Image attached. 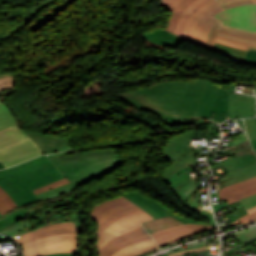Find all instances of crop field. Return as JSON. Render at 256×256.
<instances>
[{"instance_id":"120bbe31","label":"crop field","mask_w":256,"mask_h":256,"mask_svg":"<svg viewBox=\"0 0 256 256\" xmlns=\"http://www.w3.org/2000/svg\"><path fill=\"white\" fill-rule=\"evenodd\" d=\"M58 206H60V205H58L57 203H55V204H54V207L49 208L47 211H43L42 214H39V215H37V216L33 215V213H34L35 210H37V209L32 210V212H31V211H30V208H28V209H27V212H28L29 216H33V217H35V218H43V217L46 216V215H51L52 213H54V215H56V216L59 218V219H57V220H64V219H66V218H61L60 216H61L62 214L66 215V214L69 213V212H65V211H62V210H54V209H53V208L58 207ZM40 208H41V207H40Z\"/></svg>"},{"instance_id":"eef30255","label":"crop field","mask_w":256,"mask_h":256,"mask_svg":"<svg viewBox=\"0 0 256 256\" xmlns=\"http://www.w3.org/2000/svg\"><path fill=\"white\" fill-rule=\"evenodd\" d=\"M228 174L233 179L224 182L226 186L236 183V182H239V181H242V180H245V179H248V178H251V177H254V176H256V163L246 166L244 168L229 172Z\"/></svg>"},{"instance_id":"dafd665d","label":"crop field","mask_w":256,"mask_h":256,"mask_svg":"<svg viewBox=\"0 0 256 256\" xmlns=\"http://www.w3.org/2000/svg\"><path fill=\"white\" fill-rule=\"evenodd\" d=\"M186 223H195V224L204 225V223L202 222H197L181 216H170V217L160 218V219L152 220L150 222L143 223L142 225L146 228L149 234H151L165 228H169V227L180 225V224H186Z\"/></svg>"},{"instance_id":"d14b1444","label":"crop field","mask_w":256,"mask_h":256,"mask_svg":"<svg viewBox=\"0 0 256 256\" xmlns=\"http://www.w3.org/2000/svg\"><path fill=\"white\" fill-rule=\"evenodd\" d=\"M0 168H4V166H3L2 162H0Z\"/></svg>"},{"instance_id":"dd49c442","label":"crop field","mask_w":256,"mask_h":256,"mask_svg":"<svg viewBox=\"0 0 256 256\" xmlns=\"http://www.w3.org/2000/svg\"><path fill=\"white\" fill-rule=\"evenodd\" d=\"M236 86L229 89L220 88L214 108L213 120L221 123L228 118H239L256 115L255 97L233 94Z\"/></svg>"},{"instance_id":"dbb93151","label":"crop field","mask_w":256,"mask_h":256,"mask_svg":"<svg viewBox=\"0 0 256 256\" xmlns=\"http://www.w3.org/2000/svg\"><path fill=\"white\" fill-rule=\"evenodd\" d=\"M218 34H219V35H223V36H227V37H230V38H233V39H237V40H243V41L256 42L255 40H249V39L237 38V37H233V36H230V35H227V34H224V33H220V32H218Z\"/></svg>"},{"instance_id":"78b8030e","label":"crop field","mask_w":256,"mask_h":256,"mask_svg":"<svg viewBox=\"0 0 256 256\" xmlns=\"http://www.w3.org/2000/svg\"><path fill=\"white\" fill-rule=\"evenodd\" d=\"M250 142L252 144L253 149H255L256 148V139L255 140H251Z\"/></svg>"},{"instance_id":"0f1d7ab4","label":"crop field","mask_w":256,"mask_h":256,"mask_svg":"<svg viewBox=\"0 0 256 256\" xmlns=\"http://www.w3.org/2000/svg\"><path fill=\"white\" fill-rule=\"evenodd\" d=\"M238 124H239V126H240L242 129H244V125H243L242 120H238Z\"/></svg>"},{"instance_id":"d1516ede","label":"crop field","mask_w":256,"mask_h":256,"mask_svg":"<svg viewBox=\"0 0 256 256\" xmlns=\"http://www.w3.org/2000/svg\"><path fill=\"white\" fill-rule=\"evenodd\" d=\"M212 226H200L194 224H186L172 227L151 234L160 247L167 246L171 243L178 242L184 238L196 236L210 231Z\"/></svg>"},{"instance_id":"180be81f","label":"crop field","mask_w":256,"mask_h":256,"mask_svg":"<svg viewBox=\"0 0 256 256\" xmlns=\"http://www.w3.org/2000/svg\"><path fill=\"white\" fill-rule=\"evenodd\" d=\"M256 85V84H255Z\"/></svg>"},{"instance_id":"92a150f3","label":"crop field","mask_w":256,"mask_h":256,"mask_svg":"<svg viewBox=\"0 0 256 256\" xmlns=\"http://www.w3.org/2000/svg\"><path fill=\"white\" fill-rule=\"evenodd\" d=\"M34 140L37 146L44 152L49 153L70 145V138L54 137L50 135L37 134L24 131Z\"/></svg>"},{"instance_id":"34b2d1b8","label":"crop field","mask_w":256,"mask_h":256,"mask_svg":"<svg viewBox=\"0 0 256 256\" xmlns=\"http://www.w3.org/2000/svg\"><path fill=\"white\" fill-rule=\"evenodd\" d=\"M223 10L215 0H196L180 18L175 34L206 47L208 32L217 21L214 15Z\"/></svg>"},{"instance_id":"bc2a9ffb","label":"crop field","mask_w":256,"mask_h":256,"mask_svg":"<svg viewBox=\"0 0 256 256\" xmlns=\"http://www.w3.org/2000/svg\"><path fill=\"white\" fill-rule=\"evenodd\" d=\"M219 86L207 80L193 116L211 117Z\"/></svg>"},{"instance_id":"c5b07064","label":"crop field","mask_w":256,"mask_h":256,"mask_svg":"<svg viewBox=\"0 0 256 256\" xmlns=\"http://www.w3.org/2000/svg\"><path fill=\"white\" fill-rule=\"evenodd\" d=\"M1 216V215H0Z\"/></svg>"},{"instance_id":"cbeb9de0","label":"crop field","mask_w":256,"mask_h":256,"mask_svg":"<svg viewBox=\"0 0 256 256\" xmlns=\"http://www.w3.org/2000/svg\"><path fill=\"white\" fill-rule=\"evenodd\" d=\"M256 193V177L225 187L220 184L218 187L219 200L227 199L229 203L212 205L217 211L229 204Z\"/></svg>"},{"instance_id":"b80d0937","label":"crop field","mask_w":256,"mask_h":256,"mask_svg":"<svg viewBox=\"0 0 256 256\" xmlns=\"http://www.w3.org/2000/svg\"><path fill=\"white\" fill-rule=\"evenodd\" d=\"M66 183H69V181L65 178V179H63V180L57 181V182L52 183V184H49V185H47V186L40 187V188L34 190L33 192H34L35 194H37V193H40V192H43V191L50 190V189H52V188H54V187H57V186L66 184Z\"/></svg>"},{"instance_id":"c035e120","label":"crop field","mask_w":256,"mask_h":256,"mask_svg":"<svg viewBox=\"0 0 256 256\" xmlns=\"http://www.w3.org/2000/svg\"><path fill=\"white\" fill-rule=\"evenodd\" d=\"M239 202L246 208V210L251 209L256 206V194L244 198Z\"/></svg>"},{"instance_id":"028f5c9d","label":"crop field","mask_w":256,"mask_h":256,"mask_svg":"<svg viewBox=\"0 0 256 256\" xmlns=\"http://www.w3.org/2000/svg\"><path fill=\"white\" fill-rule=\"evenodd\" d=\"M208 250L206 244H201L189 249H184L175 253H170V254H166V256H180V255H185V254H189V253H196V252H201V251H205Z\"/></svg>"},{"instance_id":"00972430","label":"crop field","mask_w":256,"mask_h":256,"mask_svg":"<svg viewBox=\"0 0 256 256\" xmlns=\"http://www.w3.org/2000/svg\"><path fill=\"white\" fill-rule=\"evenodd\" d=\"M144 37L152 43L172 47L184 40L183 38L175 36L163 29L154 30L145 34Z\"/></svg>"},{"instance_id":"c21b1889","label":"crop field","mask_w":256,"mask_h":256,"mask_svg":"<svg viewBox=\"0 0 256 256\" xmlns=\"http://www.w3.org/2000/svg\"><path fill=\"white\" fill-rule=\"evenodd\" d=\"M251 221H256V212H253L251 214H248L244 217H242L241 219L225 226V227H229V226H234V225H239V224H243V223H246V222H251ZM224 228V227H223Z\"/></svg>"},{"instance_id":"1f2cbd36","label":"crop field","mask_w":256,"mask_h":256,"mask_svg":"<svg viewBox=\"0 0 256 256\" xmlns=\"http://www.w3.org/2000/svg\"><path fill=\"white\" fill-rule=\"evenodd\" d=\"M246 58L249 59H255L256 60V51L254 50H248Z\"/></svg>"},{"instance_id":"1d83c4d3","label":"crop field","mask_w":256,"mask_h":256,"mask_svg":"<svg viewBox=\"0 0 256 256\" xmlns=\"http://www.w3.org/2000/svg\"><path fill=\"white\" fill-rule=\"evenodd\" d=\"M215 41L223 43V44L231 45V46H234V47H238V48H241V49H245V50H247L249 46H256L255 43L237 41V40H233V39L226 38V37L219 36V35L216 36Z\"/></svg>"},{"instance_id":"733c2abd","label":"crop field","mask_w":256,"mask_h":256,"mask_svg":"<svg viewBox=\"0 0 256 256\" xmlns=\"http://www.w3.org/2000/svg\"><path fill=\"white\" fill-rule=\"evenodd\" d=\"M55 233H77L75 229V223H55L47 226L40 227L34 231L22 234L20 236L14 237L13 239L19 244H24L26 242L35 240L37 238L55 234Z\"/></svg>"},{"instance_id":"d32e631a","label":"crop field","mask_w":256,"mask_h":256,"mask_svg":"<svg viewBox=\"0 0 256 256\" xmlns=\"http://www.w3.org/2000/svg\"><path fill=\"white\" fill-rule=\"evenodd\" d=\"M217 126H211L207 129H195L196 137H205L207 140L210 137L218 135L219 127H217Z\"/></svg>"},{"instance_id":"d8731c3e","label":"crop field","mask_w":256,"mask_h":256,"mask_svg":"<svg viewBox=\"0 0 256 256\" xmlns=\"http://www.w3.org/2000/svg\"><path fill=\"white\" fill-rule=\"evenodd\" d=\"M138 211L142 210L121 195L95 205L91 211V218L97 222V236L114 220Z\"/></svg>"},{"instance_id":"ae633e8c","label":"crop field","mask_w":256,"mask_h":256,"mask_svg":"<svg viewBox=\"0 0 256 256\" xmlns=\"http://www.w3.org/2000/svg\"><path fill=\"white\" fill-rule=\"evenodd\" d=\"M255 210H256V207L253 208V209H251V210H248V213H251V212H253V211H255Z\"/></svg>"},{"instance_id":"d3111659","label":"crop field","mask_w":256,"mask_h":256,"mask_svg":"<svg viewBox=\"0 0 256 256\" xmlns=\"http://www.w3.org/2000/svg\"><path fill=\"white\" fill-rule=\"evenodd\" d=\"M17 124L10 111L0 103V130Z\"/></svg>"},{"instance_id":"5142ce71","label":"crop field","mask_w":256,"mask_h":256,"mask_svg":"<svg viewBox=\"0 0 256 256\" xmlns=\"http://www.w3.org/2000/svg\"><path fill=\"white\" fill-rule=\"evenodd\" d=\"M31 225L33 224L24 206L17 207L0 217V231L11 237L15 236L19 230H23Z\"/></svg>"},{"instance_id":"e1f06a70","label":"crop field","mask_w":256,"mask_h":256,"mask_svg":"<svg viewBox=\"0 0 256 256\" xmlns=\"http://www.w3.org/2000/svg\"><path fill=\"white\" fill-rule=\"evenodd\" d=\"M255 119L256 118L246 119L245 120L247 134H248L250 140L256 138V123H255Z\"/></svg>"},{"instance_id":"89e229c0","label":"crop field","mask_w":256,"mask_h":256,"mask_svg":"<svg viewBox=\"0 0 256 256\" xmlns=\"http://www.w3.org/2000/svg\"><path fill=\"white\" fill-rule=\"evenodd\" d=\"M254 241H256V239H254V240H252V241H250V242H247V243H245V244H243V245H241V246H238V247H235V248H233V249H230V250H228V251H226V252H227V254L229 255V254H231V253H233V252L239 250L238 248L244 247V246H246V245H248V244H250V243H252V242H254Z\"/></svg>"},{"instance_id":"0bd39190","label":"crop field","mask_w":256,"mask_h":256,"mask_svg":"<svg viewBox=\"0 0 256 256\" xmlns=\"http://www.w3.org/2000/svg\"><path fill=\"white\" fill-rule=\"evenodd\" d=\"M187 208L201 214L203 217H205L207 220L211 217L212 213L210 214L209 212L205 211V210H200L199 208V204L197 199L195 201H193L190 205L187 206Z\"/></svg>"},{"instance_id":"425ffa30","label":"crop field","mask_w":256,"mask_h":256,"mask_svg":"<svg viewBox=\"0 0 256 256\" xmlns=\"http://www.w3.org/2000/svg\"><path fill=\"white\" fill-rule=\"evenodd\" d=\"M156 249H159V247L156 246V247H153V248H149V249H145V250H141V251H136V252H134V253H132V254H130L128 256H141L143 254H146L148 252L154 251Z\"/></svg>"},{"instance_id":"0765c3eb","label":"crop field","mask_w":256,"mask_h":256,"mask_svg":"<svg viewBox=\"0 0 256 256\" xmlns=\"http://www.w3.org/2000/svg\"><path fill=\"white\" fill-rule=\"evenodd\" d=\"M244 62L251 63V64H256V61L249 60V59H244Z\"/></svg>"},{"instance_id":"db79e9e6","label":"crop field","mask_w":256,"mask_h":256,"mask_svg":"<svg viewBox=\"0 0 256 256\" xmlns=\"http://www.w3.org/2000/svg\"><path fill=\"white\" fill-rule=\"evenodd\" d=\"M9 240H10V239H8V238H6V237L0 235V242H2V241H9Z\"/></svg>"},{"instance_id":"ae1a2a85","label":"crop field","mask_w":256,"mask_h":256,"mask_svg":"<svg viewBox=\"0 0 256 256\" xmlns=\"http://www.w3.org/2000/svg\"><path fill=\"white\" fill-rule=\"evenodd\" d=\"M150 246H156V243L153 241V239L130 245L126 248L117 251L113 256H126L127 254L132 253L136 250L149 248Z\"/></svg>"},{"instance_id":"730fd06b","label":"crop field","mask_w":256,"mask_h":256,"mask_svg":"<svg viewBox=\"0 0 256 256\" xmlns=\"http://www.w3.org/2000/svg\"><path fill=\"white\" fill-rule=\"evenodd\" d=\"M222 23H223V20L218 19V21L212 27V29L208 35V39H207V48L208 49L215 51L214 40H215V36L219 29L237 33V34H241V35H245V36L256 37V33H254V32H247V31H243V30H239V29L229 28V27L222 25Z\"/></svg>"},{"instance_id":"25e5ab78","label":"crop field","mask_w":256,"mask_h":256,"mask_svg":"<svg viewBox=\"0 0 256 256\" xmlns=\"http://www.w3.org/2000/svg\"><path fill=\"white\" fill-rule=\"evenodd\" d=\"M249 3H256L255 0H246V1H239V2H233L227 5H223L224 8H230L236 5H241V4H249Z\"/></svg>"},{"instance_id":"28ad6ade","label":"crop field","mask_w":256,"mask_h":256,"mask_svg":"<svg viewBox=\"0 0 256 256\" xmlns=\"http://www.w3.org/2000/svg\"><path fill=\"white\" fill-rule=\"evenodd\" d=\"M216 17L225 20L224 25L256 32V5L227 9Z\"/></svg>"},{"instance_id":"bd1437ed","label":"crop field","mask_w":256,"mask_h":256,"mask_svg":"<svg viewBox=\"0 0 256 256\" xmlns=\"http://www.w3.org/2000/svg\"><path fill=\"white\" fill-rule=\"evenodd\" d=\"M17 207L10 198L9 194L0 188V213L3 215L12 208Z\"/></svg>"},{"instance_id":"a9b5d70f","label":"crop field","mask_w":256,"mask_h":256,"mask_svg":"<svg viewBox=\"0 0 256 256\" xmlns=\"http://www.w3.org/2000/svg\"><path fill=\"white\" fill-rule=\"evenodd\" d=\"M255 162H256V155L254 152H252L250 154H245L240 157L211 166V169L214 170V169L220 168L224 173H226Z\"/></svg>"},{"instance_id":"fb207236","label":"crop field","mask_w":256,"mask_h":256,"mask_svg":"<svg viewBox=\"0 0 256 256\" xmlns=\"http://www.w3.org/2000/svg\"><path fill=\"white\" fill-rule=\"evenodd\" d=\"M61 157V156H60Z\"/></svg>"},{"instance_id":"0fb4a251","label":"crop field","mask_w":256,"mask_h":256,"mask_svg":"<svg viewBox=\"0 0 256 256\" xmlns=\"http://www.w3.org/2000/svg\"><path fill=\"white\" fill-rule=\"evenodd\" d=\"M45 256H74V254L71 253H55V254H49Z\"/></svg>"},{"instance_id":"750c4746","label":"crop field","mask_w":256,"mask_h":256,"mask_svg":"<svg viewBox=\"0 0 256 256\" xmlns=\"http://www.w3.org/2000/svg\"><path fill=\"white\" fill-rule=\"evenodd\" d=\"M168 126H178V125H205L208 124L209 122H204V119H195V120H189V119H178V118H171V117H166V119L163 121Z\"/></svg>"},{"instance_id":"e52e79f7","label":"crop field","mask_w":256,"mask_h":256,"mask_svg":"<svg viewBox=\"0 0 256 256\" xmlns=\"http://www.w3.org/2000/svg\"><path fill=\"white\" fill-rule=\"evenodd\" d=\"M25 256H42L54 252H71L80 255L78 234H56L20 246Z\"/></svg>"},{"instance_id":"1d79db26","label":"crop field","mask_w":256,"mask_h":256,"mask_svg":"<svg viewBox=\"0 0 256 256\" xmlns=\"http://www.w3.org/2000/svg\"><path fill=\"white\" fill-rule=\"evenodd\" d=\"M10 76H14V74H12V73H1L0 74V78L10 77Z\"/></svg>"},{"instance_id":"3316defc","label":"crop field","mask_w":256,"mask_h":256,"mask_svg":"<svg viewBox=\"0 0 256 256\" xmlns=\"http://www.w3.org/2000/svg\"><path fill=\"white\" fill-rule=\"evenodd\" d=\"M153 219L146 212H138L125 217H122L116 221H114L109 227H107L98 237L97 242L95 244V251L99 252L101 247L105 245V243L114 238L115 236L122 234L124 232L130 231L132 229L138 228L141 226V222L146 220ZM122 230V232H120Z\"/></svg>"},{"instance_id":"d9b57169","label":"crop field","mask_w":256,"mask_h":256,"mask_svg":"<svg viewBox=\"0 0 256 256\" xmlns=\"http://www.w3.org/2000/svg\"><path fill=\"white\" fill-rule=\"evenodd\" d=\"M147 239H151V236L146 233V231L140 227L133 231L122 234L111 241L107 242V244L102 247L98 256H111L117 250L126 247L130 244L141 242Z\"/></svg>"},{"instance_id":"7312dd0a","label":"crop field","mask_w":256,"mask_h":256,"mask_svg":"<svg viewBox=\"0 0 256 256\" xmlns=\"http://www.w3.org/2000/svg\"><path fill=\"white\" fill-rule=\"evenodd\" d=\"M256 83V82H255Z\"/></svg>"},{"instance_id":"9d1cf04e","label":"crop field","mask_w":256,"mask_h":256,"mask_svg":"<svg viewBox=\"0 0 256 256\" xmlns=\"http://www.w3.org/2000/svg\"><path fill=\"white\" fill-rule=\"evenodd\" d=\"M233 1H238V0H219L221 5L227 4V3H230V2H233Z\"/></svg>"},{"instance_id":"ac0d7876","label":"crop field","mask_w":256,"mask_h":256,"mask_svg":"<svg viewBox=\"0 0 256 256\" xmlns=\"http://www.w3.org/2000/svg\"><path fill=\"white\" fill-rule=\"evenodd\" d=\"M63 178L65 176L43 155L0 171V187L21 206L38 201L32 190Z\"/></svg>"},{"instance_id":"c3a83c6f","label":"crop field","mask_w":256,"mask_h":256,"mask_svg":"<svg viewBox=\"0 0 256 256\" xmlns=\"http://www.w3.org/2000/svg\"><path fill=\"white\" fill-rule=\"evenodd\" d=\"M165 256V255H164Z\"/></svg>"},{"instance_id":"5a996713","label":"crop field","mask_w":256,"mask_h":256,"mask_svg":"<svg viewBox=\"0 0 256 256\" xmlns=\"http://www.w3.org/2000/svg\"><path fill=\"white\" fill-rule=\"evenodd\" d=\"M63 154H66L67 156L52 159L54 164L60 169L62 173L99 159L119 158L116 152L112 149H103L89 152L71 150L58 154L48 155V157L51 158Z\"/></svg>"},{"instance_id":"214f88e0","label":"crop field","mask_w":256,"mask_h":256,"mask_svg":"<svg viewBox=\"0 0 256 256\" xmlns=\"http://www.w3.org/2000/svg\"><path fill=\"white\" fill-rule=\"evenodd\" d=\"M193 1L194 0H161L160 6L171 13L165 27L166 30L174 33L179 18Z\"/></svg>"},{"instance_id":"22f410ed","label":"crop field","mask_w":256,"mask_h":256,"mask_svg":"<svg viewBox=\"0 0 256 256\" xmlns=\"http://www.w3.org/2000/svg\"><path fill=\"white\" fill-rule=\"evenodd\" d=\"M42 153L43 152L35 145L32 139L29 138L0 150V161L5 164V167H9Z\"/></svg>"},{"instance_id":"73cf0c24","label":"crop field","mask_w":256,"mask_h":256,"mask_svg":"<svg viewBox=\"0 0 256 256\" xmlns=\"http://www.w3.org/2000/svg\"><path fill=\"white\" fill-rule=\"evenodd\" d=\"M73 216H74V221L76 223V229L78 230V233H80V234L83 233L80 219H79V213H75V214H73Z\"/></svg>"},{"instance_id":"5866460e","label":"crop field","mask_w":256,"mask_h":256,"mask_svg":"<svg viewBox=\"0 0 256 256\" xmlns=\"http://www.w3.org/2000/svg\"><path fill=\"white\" fill-rule=\"evenodd\" d=\"M232 237L237 240L238 244L241 245L249 240L256 238V229L236 234L233 235Z\"/></svg>"},{"instance_id":"4177f3b9","label":"crop field","mask_w":256,"mask_h":256,"mask_svg":"<svg viewBox=\"0 0 256 256\" xmlns=\"http://www.w3.org/2000/svg\"><path fill=\"white\" fill-rule=\"evenodd\" d=\"M26 138H28V136L19 128L18 125L2 130L0 131V149L8 147Z\"/></svg>"},{"instance_id":"7b73153f","label":"crop field","mask_w":256,"mask_h":256,"mask_svg":"<svg viewBox=\"0 0 256 256\" xmlns=\"http://www.w3.org/2000/svg\"><path fill=\"white\" fill-rule=\"evenodd\" d=\"M70 149H72V147H71V146L66 147V148H63V149H60V150H57V151H55V152L65 151V150H70ZM52 153H53V152H52Z\"/></svg>"},{"instance_id":"ade564c9","label":"crop field","mask_w":256,"mask_h":256,"mask_svg":"<svg viewBox=\"0 0 256 256\" xmlns=\"http://www.w3.org/2000/svg\"><path fill=\"white\" fill-rule=\"evenodd\" d=\"M254 151H255V153H256V149H255Z\"/></svg>"},{"instance_id":"c39391a2","label":"crop field","mask_w":256,"mask_h":256,"mask_svg":"<svg viewBox=\"0 0 256 256\" xmlns=\"http://www.w3.org/2000/svg\"><path fill=\"white\" fill-rule=\"evenodd\" d=\"M249 49H256V47H249Z\"/></svg>"},{"instance_id":"b54c1fbb","label":"crop field","mask_w":256,"mask_h":256,"mask_svg":"<svg viewBox=\"0 0 256 256\" xmlns=\"http://www.w3.org/2000/svg\"><path fill=\"white\" fill-rule=\"evenodd\" d=\"M14 85V78L0 79V91L10 89Z\"/></svg>"},{"instance_id":"d23c7cc5","label":"crop field","mask_w":256,"mask_h":256,"mask_svg":"<svg viewBox=\"0 0 256 256\" xmlns=\"http://www.w3.org/2000/svg\"><path fill=\"white\" fill-rule=\"evenodd\" d=\"M215 49H216L217 52H220V53H222V54H225V55L231 57V58L234 59L236 62H241V60H242V58H243L242 56L235 55V54L226 52V51L221 50V49H217V48H215Z\"/></svg>"},{"instance_id":"f4fd0767","label":"crop field","mask_w":256,"mask_h":256,"mask_svg":"<svg viewBox=\"0 0 256 256\" xmlns=\"http://www.w3.org/2000/svg\"><path fill=\"white\" fill-rule=\"evenodd\" d=\"M123 161L124 159H121V158L110 159V160H99V161L81 166L69 172H66L64 173V175L67 177V179L71 183L57 187L53 190H50L44 193L37 194V197L39 198V200L48 199V198L60 195L64 192L73 190L94 178H98L100 176H103L111 172L113 169H115L117 166L123 163Z\"/></svg>"},{"instance_id":"e1d0b9f6","label":"crop field","mask_w":256,"mask_h":256,"mask_svg":"<svg viewBox=\"0 0 256 256\" xmlns=\"http://www.w3.org/2000/svg\"><path fill=\"white\" fill-rule=\"evenodd\" d=\"M230 256H241V254H240L239 251H238V252H236V253H234V254H232V255H230Z\"/></svg>"},{"instance_id":"03da06ac","label":"crop field","mask_w":256,"mask_h":256,"mask_svg":"<svg viewBox=\"0 0 256 256\" xmlns=\"http://www.w3.org/2000/svg\"><path fill=\"white\" fill-rule=\"evenodd\" d=\"M215 47L221 48V49H224V50H227L229 52H232V53H235V54H239V55H242V56L245 53V50H241V49H238V48L230 47V46L223 45V44L216 43V42H215Z\"/></svg>"},{"instance_id":"5d738f31","label":"crop field","mask_w":256,"mask_h":256,"mask_svg":"<svg viewBox=\"0 0 256 256\" xmlns=\"http://www.w3.org/2000/svg\"><path fill=\"white\" fill-rule=\"evenodd\" d=\"M246 214H248L247 211L244 209V207H242V208H240L239 210L235 211L234 213L230 214L227 217L233 222V221L239 219L240 217H242V216H244Z\"/></svg>"},{"instance_id":"412701ff","label":"crop field","mask_w":256,"mask_h":256,"mask_svg":"<svg viewBox=\"0 0 256 256\" xmlns=\"http://www.w3.org/2000/svg\"><path fill=\"white\" fill-rule=\"evenodd\" d=\"M191 138H195L194 130L176 135L168 141L162 156L172 164L164 170L163 182L167 183L176 171L198 163L195 154H199V149L190 145Z\"/></svg>"},{"instance_id":"4a817a6b","label":"crop field","mask_w":256,"mask_h":256,"mask_svg":"<svg viewBox=\"0 0 256 256\" xmlns=\"http://www.w3.org/2000/svg\"><path fill=\"white\" fill-rule=\"evenodd\" d=\"M122 196L126 197L127 199L135 202L151 215L156 218L170 216V215H178L172 210L168 209L167 207L151 200L149 197L140 194L136 191H131L129 193L122 194Z\"/></svg>"},{"instance_id":"8a807250","label":"crop field","mask_w":256,"mask_h":256,"mask_svg":"<svg viewBox=\"0 0 256 256\" xmlns=\"http://www.w3.org/2000/svg\"><path fill=\"white\" fill-rule=\"evenodd\" d=\"M206 80L193 83L174 81L154 84L130 93L115 95L139 110L160 116L195 119L192 117Z\"/></svg>"},{"instance_id":"447ae74e","label":"crop field","mask_w":256,"mask_h":256,"mask_svg":"<svg viewBox=\"0 0 256 256\" xmlns=\"http://www.w3.org/2000/svg\"><path fill=\"white\" fill-rule=\"evenodd\" d=\"M220 31H221V30H220ZM221 32H224V33H227V34H230V35H234V36H238V37H243V38H249V39H255V40H256V38H250V37L240 36V35L228 33V32H225V31H221Z\"/></svg>"}]
</instances>
